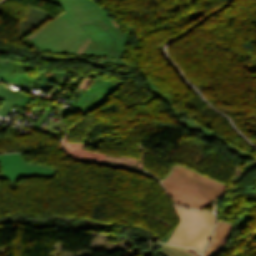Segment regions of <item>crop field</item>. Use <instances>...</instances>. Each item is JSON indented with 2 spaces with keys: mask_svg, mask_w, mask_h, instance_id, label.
Returning a JSON list of instances; mask_svg holds the SVG:
<instances>
[{
  "mask_svg": "<svg viewBox=\"0 0 256 256\" xmlns=\"http://www.w3.org/2000/svg\"><path fill=\"white\" fill-rule=\"evenodd\" d=\"M175 204L205 208L227 186L177 166L162 184Z\"/></svg>",
  "mask_w": 256,
  "mask_h": 256,
  "instance_id": "8a807250",
  "label": "crop field"
},
{
  "mask_svg": "<svg viewBox=\"0 0 256 256\" xmlns=\"http://www.w3.org/2000/svg\"><path fill=\"white\" fill-rule=\"evenodd\" d=\"M174 206V205H173ZM181 222L170 243L192 246L202 252L214 223L211 213L174 206Z\"/></svg>",
  "mask_w": 256,
  "mask_h": 256,
  "instance_id": "ac0d7876",
  "label": "crop field"
},
{
  "mask_svg": "<svg viewBox=\"0 0 256 256\" xmlns=\"http://www.w3.org/2000/svg\"><path fill=\"white\" fill-rule=\"evenodd\" d=\"M231 223L218 222L213 237L208 245L204 256H212L220 245L224 242L231 227Z\"/></svg>",
  "mask_w": 256,
  "mask_h": 256,
  "instance_id": "34b2d1b8",
  "label": "crop field"
}]
</instances>
